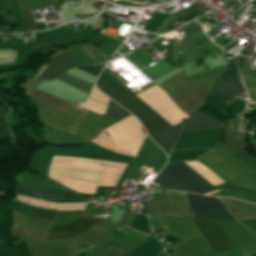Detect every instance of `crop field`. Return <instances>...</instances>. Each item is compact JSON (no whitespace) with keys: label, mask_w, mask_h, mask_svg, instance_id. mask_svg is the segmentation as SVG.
Returning <instances> with one entry per match:
<instances>
[{"label":"crop field","mask_w":256,"mask_h":256,"mask_svg":"<svg viewBox=\"0 0 256 256\" xmlns=\"http://www.w3.org/2000/svg\"><path fill=\"white\" fill-rule=\"evenodd\" d=\"M17 192L20 195L31 196L36 198H41L53 202L60 203L63 196V191H53L41 188H31L19 185ZM16 190L15 193L17 194Z\"/></svg>","instance_id":"5a996713"},{"label":"crop field","mask_w":256,"mask_h":256,"mask_svg":"<svg viewBox=\"0 0 256 256\" xmlns=\"http://www.w3.org/2000/svg\"><path fill=\"white\" fill-rule=\"evenodd\" d=\"M106 114L112 116L117 121L129 115V113L124 111L122 108L116 105L113 101H110Z\"/></svg>","instance_id":"d9b57169"},{"label":"crop field","mask_w":256,"mask_h":256,"mask_svg":"<svg viewBox=\"0 0 256 256\" xmlns=\"http://www.w3.org/2000/svg\"><path fill=\"white\" fill-rule=\"evenodd\" d=\"M10 208L12 210H15V211L27 214V215H31V216H35V217H39V218H43V219H49V220H52L56 213L53 211H47V210L29 207V206L23 205V204L15 201V200L12 202Z\"/></svg>","instance_id":"d1516ede"},{"label":"crop field","mask_w":256,"mask_h":256,"mask_svg":"<svg viewBox=\"0 0 256 256\" xmlns=\"http://www.w3.org/2000/svg\"><path fill=\"white\" fill-rule=\"evenodd\" d=\"M73 38H77V36L70 34V35H66V36H61V37H56V38H52V39L39 41V42L30 44V45L32 48H36V47H40V46H44V45H48V44H52V43H57V42H61V41H65V40H69V39H73Z\"/></svg>","instance_id":"733c2abd"},{"label":"crop field","mask_w":256,"mask_h":256,"mask_svg":"<svg viewBox=\"0 0 256 256\" xmlns=\"http://www.w3.org/2000/svg\"><path fill=\"white\" fill-rule=\"evenodd\" d=\"M184 194L187 199L186 193H184ZM188 195L200 196V195H193V194H188ZM192 196H188V199H189V202H190V205L193 210L195 218L225 219V220H233L234 219L229 214L223 201H221V202L224 204L229 216L232 217L233 219H231L228 216L224 206L222 205V203L220 201H218L219 199L214 200V199H208L210 197L199 198V197H192ZM200 197H206V196H200ZM188 199H187V202H188ZM189 202H188V205H189ZM190 205H189V208H190ZM191 208H190V211H191L192 217L194 218Z\"/></svg>","instance_id":"412701ff"},{"label":"crop field","mask_w":256,"mask_h":256,"mask_svg":"<svg viewBox=\"0 0 256 256\" xmlns=\"http://www.w3.org/2000/svg\"><path fill=\"white\" fill-rule=\"evenodd\" d=\"M163 249L162 245L156 240L153 234L135 249L129 256H155Z\"/></svg>","instance_id":"28ad6ade"},{"label":"crop field","mask_w":256,"mask_h":256,"mask_svg":"<svg viewBox=\"0 0 256 256\" xmlns=\"http://www.w3.org/2000/svg\"><path fill=\"white\" fill-rule=\"evenodd\" d=\"M100 77L109 83L113 88H115L119 93H121L125 98H127L131 103H133L137 108H139L143 113H145L149 118H151L155 123H157L161 128L166 130L172 127L146 104H144L140 99H138L123 84L112 77L105 69ZM100 77L97 81V87L102 92L132 112L141 121L151 137L163 131V129H161L157 124H155L151 119H149L145 114H143L139 109H137L133 104H131L127 99H125Z\"/></svg>","instance_id":"8a807250"},{"label":"crop field","mask_w":256,"mask_h":256,"mask_svg":"<svg viewBox=\"0 0 256 256\" xmlns=\"http://www.w3.org/2000/svg\"><path fill=\"white\" fill-rule=\"evenodd\" d=\"M91 75H94V76H98L99 72L101 71L102 69V66L98 65V66H87V65H82V66H79L77 67Z\"/></svg>","instance_id":"bc2a9ffb"},{"label":"crop field","mask_w":256,"mask_h":256,"mask_svg":"<svg viewBox=\"0 0 256 256\" xmlns=\"http://www.w3.org/2000/svg\"><path fill=\"white\" fill-rule=\"evenodd\" d=\"M81 49L88 57H90L97 64L105 63L109 59L106 55H104L91 44L81 47Z\"/></svg>","instance_id":"cbeb9de0"},{"label":"crop field","mask_w":256,"mask_h":256,"mask_svg":"<svg viewBox=\"0 0 256 256\" xmlns=\"http://www.w3.org/2000/svg\"><path fill=\"white\" fill-rule=\"evenodd\" d=\"M1 4L4 7H10V8L17 9L15 0H1Z\"/></svg>","instance_id":"214f88e0"},{"label":"crop field","mask_w":256,"mask_h":256,"mask_svg":"<svg viewBox=\"0 0 256 256\" xmlns=\"http://www.w3.org/2000/svg\"><path fill=\"white\" fill-rule=\"evenodd\" d=\"M101 219L78 218L72 223L64 227L51 228L47 240L61 239L65 237L75 236L95 225Z\"/></svg>","instance_id":"e52e79f7"},{"label":"crop field","mask_w":256,"mask_h":256,"mask_svg":"<svg viewBox=\"0 0 256 256\" xmlns=\"http://www.w3.org/2000/svg\"><path fill=\"white\" fill-rule=\"evenodd\" d=\"M184 121L179 123L178 125L152 137V139L157 142L167 153L171 150L172 146L174 145L181 127Z\"/></svg>","instance_id":"3316defc"},{"label":"crop field","mask_w":256,"mask_h":256,"mask_svg":"<svg viewBox=\"0 0 256 256\" xmlns=\"http://www.w3.org/2000/svg\"><path fill=\"white\" fill-rule=\"evenodd\" d=\"M165 190L207 193L217 188L185 162L166 165L155 178ZM219 192L213 191L205 195Z\"/></svg>","instance_id":"ac0d7876"},{"label":"crop field","mask_w":256,"mask_h":256,"mask_svg":"<svg viewBox=\"0 0 256 256\" xmlns=\"http://www.w3.org/2000/svg\"><path fill=\"white\" fill-rule=\"evenodd\" d=\"M164 253H165V251H164ZM164 253H163V251H161L157 256H164ZM165 256H166V253H165Z\"/></svg>","instance_id":"92a150f3"},{"label":"crop field","mask_w":256,"mask_h":256,"mask_svg":"<svg viewBox=\"0 0 256 256\" xmlns=\"http://www.w3.org/2000/svg\"><path fill=\"white\" fill-rule=\"evenodd\" d=\"M216 254L234 249L216 220L193 219Z\"/></svg>","instance_id":"f4fd0767"},{"label":"crop field","mask_w":256,"mask_h":256,"mask_svg":"<svg viewBox=\"0 0 256 256\" xmlns=\"http://www.w3.org/2000/svg\"><path fill=\"white\" fill-rule=\"evenodd\" d=\"M58 79L68 83V84H71L77 88H80L86 92H90L91 88H92V84L88 83V82H85L81 79H78L74 76H71L67 73L63 74L62 76H60Z\"/></svg>","instance_id":"5142ce71"},{"label":"crop field","mask_w":256,"mask_h":256,"mask_svg":"<svg viewBox=\"0 0 256 256\" xmlns=\"http://www.w3.org/2000/svg\"><path fill=\"white\" fill-rule=\"evenodd\" d=\"M130 253L131 252L110 241L95 256H128Z\"/></svg>","instance_id":"22f410ed"},{"label":"crop field","mask_w":256,"mask_h":256,"mask_svg":"<svg viewBox=\"0 0 256 256\" xmlns=\"http://www.w3.org/2000/svg\"><path fill=\"white\" fill-rule=\"evenodd\" d=\"M217 128H221L219 123L197 111L186 120L181 133Z\"/></svg>","instance_id":"d8731c3e"},{"label":"crop field","mask_w":256,"mask_h":256,"mask_svg":"<svg viewBox=\"0 0 256 256\" xmlns=\"http://www.w3.org/2000/svg\"><path fill=\"white\" fill-rule=\"evenodd\" d=\"M21 14L25 21V26L28 31L37 30V27L34 23L33 16L30 9H22L20 10Z\"/></svg>","instance_id":"4a817a6b"},{"label":"crop field","mask_w":256,"mask_h":256,"mask_svg":"<svg viewBox=\"0 0 256 256\" xmlns=\"http://www.w3.org/2000/svg\"><path fill=\"white\" fill-rule=\"evenodd\" d=\"M244 93L246 92L242 87L238 72L226 68L216 78L209 95L228 105Z\"/></svg>","instance_id":"34b2d1b8"},{"label":"crop field","mask_w":256,"mask_h":256,"mask_svg":"<svg viewBox=\"0 0 256 256\" xmlns=\"http://www.w3.org/2000/svg\"><path fill=\"white\" fill-rule=\"evenodd\" d=\"M49 64L37 79H54L82 63L71 51H68L52 58Z\"/></svg>","instance_id":"dd49c442"}]
</instances>
